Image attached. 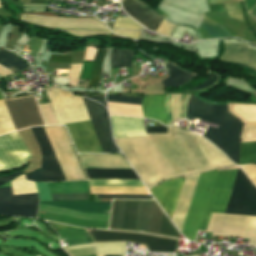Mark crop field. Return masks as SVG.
<instances>
[{
  "mask_svg": "<svg viewBox=\"0 0 256 256\" xmlns=\"http://www.w3.org/2000/svg\"><path fill=\"white\" fill-rule=\"evenodd\" d=\"M51 205L71 208L80 211L109 213L111 202H46Z\"/></svg>",
  "mask_w": 256,
  "mask_h": 256,
  "instance_id": "dafd665d",
  "label": "crop field"
},
{
  "mask_svg": "<svg viewBox=\"0 0 256 256\" xmlns=\"http://www.w3.org/2000/svg\"><path fill=\"white\" fill-rule=\"evenodd\" d=\"M49 61L70 63L71 56L51 55Z\"/></svg>",
  "mask_w": 256,
  "mask_h": 256,
  "instance_id": "1f2cbd36",
  "label": "crop field"
},
{
  "mask_svg": "<svg viewBox=\"0 0 256 256\" xmlns=\"http://www.w3.org/2000/svg\"><path fill=\"white\" fill-rule=\"evenodd\" d=\"M35 183H36V186L39 191L40 200L52 201L50 192H49V188H48V184L47 183H38V182H35Z\"/></svg>",
  "mask_w": 256,
  "mask_h": 256,
  "instance_id": "c21b1889",
  "label": "crop field"
},
{
  "mask_svg": "<svg viewBox=\"0 0 256 256\" xmlns=\"http://www.w3.org/2000/svg\"><path fill=\"white\" fill-rule=\"evenodd\" d=\"M5 103L17 130L44 125L33 96L5 100Z\"/></svg>",
  "mask_w": 256,
  "mask_h": 256,
  "instance_id": "d1516ede",
  "label": "crop field"
},
{
  "mask_svg": "<svg viewBox=\"0 0 256 256\" xmlns=\"http://www.w3.org/2000/svg\"><path fill=\"white\" fill-rule=\"evenodd\" d=\"M251 182L239 169L225 213L243 214Z\"/></svg>",
  "mask_w": 256,
  "mask_h": 256,
  "instance_id": "d9b57169",
  "label": "crop field"
},
{
  "mask_svg": "<svg viewBox=\"0 0 256 256\" xmlns=\"http://www.w3.org/2000/svg\"><path fill=\"white\" fill-rule=\"evenodd\" d=\"M147 132H153V133H166V127L159 126V127H149L146 128Z\"/></svg>",
  "mask_w": 256,
  "mask_h": 256,
  "instance_id": "0fb4a251",
  "label": "crop field"
},
{
  "mask_svg": "<svg viewBox=\"0 0 256 256\" xmlns=\"http://www.w3.org/2000/svg\"><path fill=\"white\" fill-rule=\"evenodd\" d=\"M245 238H250V245L256 246V217H250Z\"/></svg>",
  "mask_w": 256,
  "mask_h": 256,
  "instance_id": "028f5c9d",
  "label": "crop field"
},
{
  "mask_svg": "<svg viewBox=\"0 0 256 256\" xmlns=\"http://www.w3.org/2000/svg\"><path fill=\"white\" fill-rule=\"evenodd\" d=\"M38 194L13 196L11 187L0 189V214L36 217Z\"/></svg>",
  "mask_w": 256,
  "mask_h": 256,
  "instance_id": "22f410ed",
  "label": "crop field"
},
{
  "mask_svg": "<svg viewBox=\"0 0 256 256\" xmlns=\"http://www.w3.org/2000/svg\"><path fill=\"white\" fill-rule=\"evenodd\" d=\"M11 184L14 195L37 192L35 183L27 181L24 174L19 178L12 180Z\"/></svg>",
  "mask_w": 256,
  "mask_h": 256,
  "instance_id": "1d83c4d3",
  "label": "crop field"
},
{
  "mask_svg": "<svg viewBox=\"0 0 256 256\" xmlns=\"http://www.w3.org/2000/svg\"><path fill=\"white\" fill-rule=\"evenodd\" d=\"M88 233L93 238L94 242L103 241H130L133 243H139L146 245L149 252H163V253H176L177 245L179 240L168 239L157 236L108 231V230H97L87 229Z\"/></svg>",
  "mask_w": 256,
  "mask_h": 256,
  "instance_id": "e52e79f7",
  "label": "crop field"
},
{
  "mask_svg": "<svg viewBox=\"0 0 256 256\" xmlns=\"http://www.w3.org/2000/svg\"><path fill=\"white\" fill-rule=\"evenodd\" d=\"M243 215L256 216V187L251 184ZM249 216L212 213L207 231L215 236L244 238Z\"/></svg>",
  "mask_w": 256,
  "mask_h": 256,
  "instance_id": "f4fd0767",
  "label": "crop field"
},
{
  "mask_svg": "<svg viewBox=\"0 0 256 256\" xmlns=\"http://www.w3.org/2000/svg\"><path fill=\"white\" fill-rule=\"evenodd\" d=\"M147 136L176 177L234 165L206 139L182 131L177 126L168 127L167 134ZM115 141L148 188L166 178H175L146 136L119 138Z\"/></svg>",
  "mask_w": 256,
  "mask_h": 256,
  "instance_id": "8a807250",
  "label": "crop field"
},
{
  "mask_svg": "<svg viewBox=\"0 0 256 256\" xmlns=\"http://www.w3.org/2000/svg\"><path fill=\"white\" fill-rule=\"evenodd\" d=\"M200 27L204 29L212 37H227L230 36L226 29L218 25L217 23L204 18Z\"/></svg>",
  "mask_w": 256,
  "mask_h": 256,
  "instance_id": "d32e631a",
  "label": "crop field"
},
{
  "mask_svg": "<svg viewBox=\"0 0 256 256\" xmlns=\"http://www.w3.org/2000/svg\"><path fill=\"white\" fill-rule=\"evenodd\" d=\"M22 173H15V174H12V175H9V176H6V177H0V185L4 184L5 182L13 179L14 177L20 175Z\"/></svg>",
  "mask_w": 256,
  "mask_h": 256,
  "instance_id": "9d1cf04e",
  "label": "crop field"
},
{
  "mask_svg": "<svg viewBox=\"0 0 256 256\" xmlns=\"http://www.w3.org/2000/svg\"><path fill=\"white\" fill-rule=\"evenodd\" d=\"M95 246L96 256L125 255L126 242L118 243H90L63 248L64 250Z\"/></svg>",
  "mask_w": 256,
  "mask_h": 256,
  "instance_id": "00972430",
  "label": "crop field"
},
{
  "mask_svg": "<svg viewBox=\"0 0 256 256\" xmlns=\"http://www.w3.org/2000/svg\"><path fill=\"white\" fill-rule=\"evenodd\" d=\"M159 80H162V78L149 77L148 80L141 81L140 77L138 76V77L129 79V81L137 84L139 88H142L146 84H149V83H152V82H155V81H159Z\"/></svg>",
  "mask_w": 256,
  "mask_h": 256,
  "instance_id": "425ffa30",
  "label": "crop field"
},
{
  "mask_svg": "<svg viewBox=\"0 0 256 256\" xmlns=\"http://www.w3.org/2000/svg\"><path fill=\"white\" fill-rule=\"evenodd\" d=\"M105 51L106 50H98L95 60H94V66H93V72H92V76L90 79V83L88 87H92V88H96L97 87V83H98V79H99V75L101 73V65L104 59V55H105Z\"/></svg>",
  "mask_w": 256,
  "mask_h": 256,
  "instance_id": "5866460e",
  "label": "crop field"
},
{
  "mask_svg": "<svg viewBox=\"0 0 256 256\" xmlns=\"http://www.w3.org/2000/svg\"><path fill=\"white\" fill-rule=\"evenodd\" d=\"M225 5H226L229 16L244 22L241 15V9L239 4H225Z\"/></svg>",
  "mask_w": 256,
  "mask_h": 256,
  "instance_id": "c035e120",
  "label": "crop field"
},
{
  "mask_svg": "<svg viewBox=\"0 0 256 256\" xmlns=\"http://www.w3.org/2000/svg\"><path fill=\"white\" fill-rule=\"evenodd\" d=\"M109 229L181 237L154 200H114Z\"/></svg>",
  "mask_w": 256,
  "mask_h": 256,
  "instance_id": "412701ff",
  "label": "crop field"
},
{
  "mask_svg": "<svg viewBox=\"0 0 256 256\" xmlns=\"http://www.w3.org/2000/svg\"><path fill=\"white\" fill-rule=\"evenodd\" d=\"M85 168L131 169L122 154H79Z\"/></svg>",
  "mask_w": 256,
  "mask_h": 256,
  "instance_id": "4a817a6b",
  "label": "crop field"
},
{
  "mask_svg": "<svg viewBox=\"0 0 256 256\" xmlns=\"http://www.w3.org/2000/svg\"><path fill=\"white\" fill-rule=\"evenodd\" d=\"M184 178L166 181L149 189L167 214L172 218Z\"/></svg>",
  "mask_w": 256,
  "mask_h": 256,
  "instance_id": "5142ce71",
  "label": "crop field"
},
{
  "mask_svg": "<svg viewBox=\"0 0 256 256\" xmlns=\"http://www.w3.org/2000/svg\"><path fill=\"white\" fill-rule=\"evenodd\" d=\"M61 30V29H58ZM63 31H68L73 35L76 36H85L89 34H109V31H82V30H63Z\"/></svg>",
  "mask_w": 256,
  "mask_h": 256,
  "instance_id": "25e5ab78",
  "label": "crop field"
},
{
  "mask_svg": "<svg viewBox=\"0 0 256 256\" xmlns=\"http://www.w3.org/2000/svg\"><path fill=\"white\" fill-rule=\"evenodd\" d=\"M229 113L243 123L241 143L256 141V105L228 103ZM256 162V142L241 144L240 165Z\"/></svg>",
  "mask_w": 256,
  "mask_h": 256,
  "instance_id": "d8731c3e",
  "label": "crop field"
},
{
  "mask_svg": "<svg viewBox=\"0 0 256 256\" xmlns=\"http://www.w3.org/2000/svg\"><path fill=\"white\" fill-rule=\"evenodd\" d=\"M199 175H193V176H188L185 179L181 195L176 207V210L173 215V222L176 224V226L179 228L181 231L189 204L191 202Z\"/></svg>",
  "mask_w": 256,
  "mask_h": 256,
  "instance_id": "214f88e0",
  "label": "crop field"
},
{
  "mask_svg": "<svg viewBox=\"0 0 256 256\" xmlns=\"http://www.w3.org/2000/svg\"><path fill=\"white\" fill-rule=\"evenodd\" d=\"M49 224H50L55 230L69 227V226H65V225H61V224H57V223H53V222H49Z\"/></svg>",
  "mask_w": 256,
  "mask_h": 256,
  "instance_id": "447ae74e",
  "label": "crop field"
},
{
  "mask_svg": "<svg viewBox=\"0 0 256 256\" xmlns=\"http://www.w3.org/2000/svg\"><path fill=\"white\" fill-rule=\"evenodd\" d=\"M88 178L139 179L133 170L85 169Z\"/></svg>",
  "mask_w": 256,
  "mask_h": 256,
  "instance_id": "4177f3b9",
  "label": "crop field"
},
{
  "mask_svg": "<svg viewBox=\"0 0 256 256\" xmlns=\"http://www.w3.org/2000/svg\"><path fill=\"white\" fill-rule=\"evenodd\" d=\"M28 180H32V181H40V169L27 175L26 176Z\"/></svg>",
  "mask_w": 256,
  "mask_h": 256,
  "instance_id": "1d79db26",
  "label": "crop field"
},
{
  "mask_svg": "<svg viewBox=\"0 0 256 256\" xmlns=\"http://www.w3.org/2000/svg\"><path fill=\"white\" fill-rule=\"evenodd\" d=\"M237 169L218 171L199 229L206 230L211 212L224 213Z\"/></svg>",
  "mask_w": 256,
  "mask_h": 256,
  "instance_id": "3316defc",
  "label": "crop field"
},
{
  "mask_svg": "<svg viewBox=\"0 0 256 256\" xmlns=\"http://www.w3.org/2000/svg\"><path fill=\"white\" fill-rule=\"evenodd\" d=\"M216 75L207 73V79L202 84L190 89L197 90L214 84ZM189 91V90H188ZM186 95H172L169 106L173 116L174 124L180 119H186L185 108ZM166 95H147L141 98L107 95V101L132 103L140 105L146 118L157 119L166 125H170L164 102ZM166 103V102H165ZM187 119L199 118L206 122L218 124V129L208 127L204 136L211 140L219 149L225 152L229 158L239 165L240 135L243 123L228 113L226 106H210L198 101L194 96L186 97ZM206 138V139H207Z\"/></svg>",
  "mask_w": 256,
  "mask_h": 256,
  "instance_id": "ac0d7876",
  "label": "crop field"
},
{
  "mask_svg": "<svg viewBox=\"0 0 256 256\" xmlns=\"http://www.w3.org/2000/svg\"><path fill=\"white\" fill-rule=\"evenodd\" d=\"M122 5L134 18L155 31L163 19L141 0H123Z\"/></svg>",
  "mask_w": 256,
  "mask_h": 256,
  "instance_id": "733c2abd",
  "label": "crop field"
},
{
  "mask_svg": "<svg viewBox=\"0 0 256 256\" xmlns=\"http://www.w3.org/2000/svg\"><path fill=\"white\" fill-rule=\"evenodd\" d=\"M45 91L59 124L89 119L80 97L55 87L46 88ZM83 100L103 151H119L111 138L106 108L94 101L85 98ZM91 122L83 121L65 124L78 152H102Z\"/></svg>",
  "mask_w": 256,
  "mask_h": 256,
  "instance_id": "34b2d1b8",
  "label": "crop field"
},
{
  "mask_svg": "<svg viewBox=\"0 0 256 256\" xmlns=\"http://www.w3.org/2000/svg\"><path fill=\"white\" fill-rule=\"evenodd\" d=\"M57 232L60 235V239L78 236V235H82V234H87V232L84 229H80V228H76V227L59 230Z\"/></svg>",
  "mask_w": 256,
  "mask_h": 256,
  "instance_id": "b80d0937",
  "label": "crop field"
},
{
  "mask_svg": "<svg viewBox=\"0 0 256 256\" xmlns=\"http://www.w3.org/2000/svg\"><path fill=\"white\" fill-rule=\"evenodd\" d=\"M173 28L174 25H171L163 19L162 23L160 24L156 32L169 36Z\"/></svg>",
  "mask_w": 256,
  "mask_h": 256,
  "instance_id": "73cf0c24",
  "label": "crop field"
},
{
  "mask_svg": "<svg viewBox=\"0 0 256 256\" xmlns=\"http://www.w3.org/2000/svg\"><path fill=\"white\" fill-rule=\"evenodd\" d=\"M67 180L86 179L63 126L43 127Z\"/></svg>",
  "mask_w": 256,
  "mask_h": 256,
  "instance_id": "dd49c442",
  "label": "crop field"
},
{
  "mask_svg": "<svg viewBox=\"0 0 256 256\" xmlns=\"http://www.w3.org/2000/svg\"><path fill=\"white\" fill-rule=\"evenodd\" d=\"M144 93H150V94L164 93L161 82L159 81V82L146 85L144 88Z\"/></svg>",
  "mask_w": 256,
  "mask_h": 256,
  "instance_id": "b54c1fbb",
  "label": "crop field"
},
{
  "mask_svg": "<svg viewBox=\"0 0 256 256\" xmlns=\"http://www.w3.org/2000/svg\"><path fill=\"white\" fill-rule=\"evenodd\" d=\"M241 168L256 186V165L242 166Z\"/></svg>",
  "mask_w": 256,
  "mask_h": 256,
  "instance_id": "d23c7cc5",
  "label": "crop field"
},
{
  "mask_svg": "<svg viewBox=\"0 0 256 256\" xmlns=\"http://www.w3.org/2000/svg\"><path fill=\"white\" fill-rule=\"evenodd\" d=\"M66 252L69 254V256H93V255H95L94 248L70 250V251H66Z\"/></svg>",
  "mask_w": 256,
  "mask_h": 256,
  "instance_id": "5d738f31",
  "label": "crop field"
},
{
  "mask_svg": "<svg viewBox=\"0 0 256 256\" xmlns=\"http://www.w3.org/2000/svg\"><path fill=\"white\" fill-rule=\"evenodd\" d=\"M31 156L17 132L0 137V171L20 167Z\"/></svg>",
  "mask_w": 256,
  "mask_h": 256,
  "instance_id": "28ad6ade",
  "label": "crop field"
},
{
  "mask_svg": "<svg viewBox=\"0 0 256 256\" xmlns=\"http://www.w3.org/2000/svg\"><path fill=\"white\" fill-rule=\"evenodd\" d=\"M0 66L14 73L27 68L29 65L13 54L0 49Z\"/></svg>",
  "mask_w": 256,
  "mask_h": 256,
  "instance_id": "eef30255",
  "label": "crop field"
},
{
  "mask_svg": "<svg viewBox=\"0 0 256 256\" xmlns=\"http://www.w3.org/2000/svg\"><path fill=\"white\" fill-rule=\"evenodd\" d=\"M115 28H124V29H140L141 26L138 25L132 19L118 17L115 23Z\"/></svg>",
  "mask_w": 256,
  "mask_h": 256,
  "instance_id": "e1f06a70",
  "label": "crop field"
},
{
  "mask_svg": "<svg viewBox=\"0 0 256 256\" xmlns=\"http://www.w3.org/2000/svg\"><path fill=\"white\" fill-rule=\"evenodd\" d=\"M225 51L220 57V61L227 63H239L245 64V60L248 54L247 44H231L224 43Z\"/></svg>",
  "mask_w": 256,
  "mask_h": 256,
  "instance_id": "a9b5d70f",
  "label": "crop field"
},
{
  "mask_svg": "<svg viewBox=\"0 0 256 256\" xmlns=\"http://www.w3.org/2000/svg\"><path fill=\"white\" fill-rule=\"evenodd\" d=\"M97 198L152 199L151 195H97Z\"/></svg>",
  "mask_w": 256,
  "mask_h": 256,
  "instance_id": "03da06ac",
  "label": "crop field"
},
{
  "mask_svg": "<svg viewBox=\"0 0 256 256\" xmlns=\"http://www.w3.org/2000/svg\"><path fill=\"white\" fill-rule=\"evenodd\" d=\"M92 194H148L144 187H91Z\"/></svg>",
  "mask_w": 256,
  "mask_h": 256,
  "instance_id": "d3111659",
  "label": "crop field"
},
{
  "mask_svg": "<svg viewBox=\"0 0 256 256\" xmlns=\"http://www.w3.org/2000/svg\"><path fill=\"white\" fill-rule=\"evenodd\" d=\"M136 52L127 49L113 48L111 56V68L131 67V62Z\"/></svg>",
  "mask_w": 256,
  "mask_h": 256,
  "instance_id": "ae1a2a85",
  "label": "crop field"
},
{
  "mask_svg": "<svg viewBox=\"0 0 256 256\" xmlns=\"http://www.w3.org/2000/svg\"><path fill=\"white\" fill-rule=\"evenodd\" d=\"M17 132L34 156L30 161V166L24 170L26 173H29L40 168L42 159L41 151L30 128Z\"/></svg>",
  "mask_w": 256,
  "mask_h": 256,
  "instance_id": "92a150f3",
  "label": "crop field"
},
{
  "mask_svg": "<svg viewBox=\"0 0 256 256\" xmlns=\"http://www.w3.org/2000/svg\"><path fill=\"white\" fill-rule=\"evenodd\" d=\"M85 97H86V96H85ZM87 98L93 99V100H95V101H99V102H101L104 106H106L104 97H87Z\"/></svg>",
  "mask_w": 256,
  "mask_h": 256,
  "instance_id": "0765c3eb",
  "label": "crop field"
},
{
  "mask_svg": "<svg viewBox=\"0 0 256 256\" xmlns=\"http://www.w3.org/2000/svg\"><path fill=\"white\" fill-rule=\"evenodd\" d=\"M90 186H143L141 180L89 179Z\"/></svg>",
  "mask_w": 256,
  "mask_h": 256,
  "instance_id": "bd1437ed",
  "label": "crop field"
},
{
  "mask_svg": "<svg viewBox=\"0 0 256 256\" xmlns=\"http://www.w3.org/2000/svg\"><path fill=\"white\" fill-rule=\"evenodd\" d=\"M54 200H88V194H51Z\"/></svg>",
  "mask_w": 256,
  "mask_h": 256,
  "instance_id": "0bd39190",
  "label": "crop field"
},
{
  "mask_svg": "<svg viewBox=\"0 0 256 256\" xmlns=\"http://www.w3.org/2000/svg\"><path fill=\"white\" fill-rule=\"evenodd\" d=\"M245 66L256 71V51L250 49Z\"/></svg>",
  "mask_w": 256,
  "mask_h": 256,
  "instance_id": "89e229c0",
  "label": "crop field"
},
{
  "mask_svg": "<svg viewBox=\"0 0 256 256\" xmlns=\"http://www.w3.org/2000/svg\"><path fill=\"white\" fill-rule=\"evenodd\" d=\"M165 68L170 72V76L168 79L162 80L164 87L181 86L194 76V74L180 71L168 62L165 63Z\"/></svg>",
  "mask_w": 256,
  "mask_h": 256,
  "instance_id": "730fd06b",
  "label": "crop field"
},
{
  "mask_svg": "<svg viewBox=\"0 0 256 256\" xmlns=\"http://www.w3.org/2000/svg\"><path fill=\"white\" fill-rule=\"evenodd\" d=\"M109 105H110V108H109L110 113L142 117L141 108L138 105L122 104V103H109Z\"/></svg>",
  "mask_w": 256,
  "mask_h": 256,
  "instance_id": "750c4746",
  "label": "crop field"
},
{
  "mask_svg": "<svg viewBox=\"0 0 256 256\" xmlns=\"http://www.w3.org/2000/svg\"><path fill=\"white\" fill-rule=\"evenodd\" d=\"M2 96L0 94V100H2ZM15 127L12 123V120L9 116V113L6 109V106L2 101H0V135L11 132V131H15Z\"/></svg>",
  "mask_w": 256,
  "mask_h": 256,
  "instance_id": "120bbe31",
  "label": "crop field"
},
{
  "mask_svg": "<svg viewBox=\"0 0 256 256\" xmlns=\"http://www.w3.org/2000/svg\"><path fill=\"white\" fill-rule=\"evenodd\" d=\"M112 32L121 34L126 37H133V38H138L140 32H133V31H119V30H113Z\"/></svg>",
  "mask_w": 256,
  "mask_h": 256,
  "instance_id": "dbb93151",
  "label": "crop field"
},
{
  "mask_svg": "<svg viewBox=\"0 0 256 256\" xmlns=\"http://www.w3.org/2000/svg\"><path fill=\"white\" fill-rule=\"evenodd\" d=\"M41 148V181L66 180L42 127L31 128Z\"/></svg>",
  "mask_w": 256,
  "mask_h": 256,
  "instance_id": "cbeb9de0",
  "label": "crop field"
},
{
  "mask_svg": "<svg viewBox=\"0 0 256 256\" xmlns=\"http://www.w3.org/2000/svg\"><path fill=\"white\" fill-rule=\"evenodd\" d=\"M216 170L208 171L200 175L192 202L190 204L181 233L189 240L194 241L202 213L211 190Z\"/></svg>",
  "mask_w": 256,
  "mask_h": 256,
  "instance_id": "5a996713",
  "label": "crop field"
},
{
  "mask_svg": "<svg viewBox=\"0 0 256 256\" xmlns=\"http://www.w3.org/2000/svg\"><path fill=\"white\" fill-rule=\"evenodd\" d=\"M199 249H200L199 252H207V248H206L205 246H203V245H201V246L199 247ZM199 252H196V254H198Z\"/></svg>",
  "mask_w": 256,
  "mask_h": 256,
  "instance_id": "db79e9e6",
  "label": "crop field"
},
{
  "mask_svg": "<svg viewBox=\"0 0 256 256\" xmlns=\"http://www.w3.org/2000/svg\"><path fill=\"white\" fill-rule=\"evenodd\" d=\"M110 119L114 138L146 135L142 119L117 116Z\"/></svg>",
  "mask_w": 256,
  "mask_h": 256,
  "instance_id": "bc2a9ffb",
  "label": "crop field"
}]
</instances>
